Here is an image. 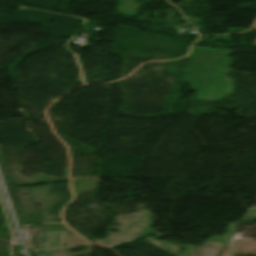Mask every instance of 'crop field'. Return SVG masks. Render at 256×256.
Returning a JSON list of instances; mask_svg holds the SVG:
<instances>
[{"mask_svg":"<svg viewBox=\"0 0 256 256\" xmlns=\"http://www.w3.org/2000/svg\"><path fill=\"white\" fill-rule=\"evenodd\" d=\"M63 232H42L39 249L36 250L38 256H52L53 249L60 248Z\"/></svg>","mask_w":256,"mask_h":256,"instance_id":"1","label":"crop field"}]
</instances>
